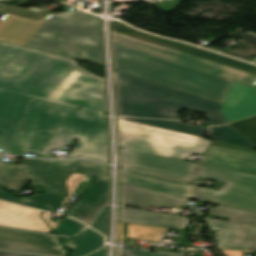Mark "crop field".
<instances>
[{"mask_svg": "<svg viewBox=\"0 0 256 256\" xmlns=\"http://www.w3.org/2000/svg\"><path fill=\"white\" fill-rule=\"evenodd\" d=\"M107 113L105 80L75 61L0 42V147L12 154L29 98Z\"/></svg>", "mask_w": 256, "mask_h": 256, "instance_id": "crop-field-1", "label": "crop field"}, {"mask_svg": "<svg viewBox=\"0 0 256 256\" xmlns=\"http://www.w3.org/2000/svg\"><path fill=\"white\" fill-rule=\"evenodd\" d=\"M115 70L224 103L232 79L251 83L256 66L112 22ZM256 87V82L252 85Z\"/></svg>", "mask_w": 256, "mask_h": 256, "instance_id": "crop-field-2", "label": "crop field"}, {"mask_svg": "<svg viewBox=\"0 0 256 256\" xmlns=\"http://www.w3.org/2000/svg\"><path fill=\"white\" fill-rule=\"evenodd\" d=\"M70 158L109 163L107 116L31 98L14 150L51 158V149L72 146Z\"/></svg>", "mask_w": 256, "mask_h": 256, "instance_id": "crop-field-3", "label": "crop field"}, {"mask_svg": "<svg viewBox=\"0 0 256 256\" xmlns=\"http://www.w3.org/2000/svg\"><path fill=\"white\" fill-rule=\"evenodd\" d=\"M0 41L104 67L100 20L79 10L48 13L38 22L0 11Z\"/></svg>", "mask_w": 256, "mask_h": 256, "instance_id": "crop-field-4", "label": "crop field"}, {"mask_svg": "<svg viewBox=\"0 0 256 256\" xmlns=\"http://www.w3.org/2000/svg\"><path fill=\"white\" fill-rule=\"evenodd\" d=\"M116 116L179 120L177 112L206 113L212 126L227 123L218 104L185 92L113 71Z\"/></svg>", "mask_w": 256, "mask_h": 256, "instance_id": "crop-field-5", "label": "crop field"}, {"mask_svg": "<svg viewBox=\"0 0 256 256\" xmlns=\"http://www.w3.org/2000/svg\"><path fill=\"white\" fill-rule=\"evenodd\" d=\"M119 147L186 160L203 154L211 141L117 118Z\"/></svg>", "mask_w": 256, "mask_h": 256, "instance_id": "crop-field-6", "label": "crop field"}, {"mask_svg": "<svg viewBox=\"0 0 256 256\" xmlns=\"http://www.w3.org/2000/svg\"><path fill=\"white\" fill-rule=\"evenodd\" d=\"M197 177L226 183L219 191L196 186L200 199L256 212V176L200 164Z\"/></svg>", "mask_w": 256, "mask_h": 256, "instance_id": "crop-field-7", "label": "crop field"}, {"mask_svg": "<svg viewBox=\"0 0 256 256\" xmlns=\"http://www.w3.org/2000/svg\"><path fill=\"white\" fill-rule=\"evenodd\" d=\"M109 166L84 159L71 161L31 159L28 174L39 184L57 194L68 196L65 180L72 172L109 181Z\"/></svg>", "mask_w": 256, "mask_h": 256, "instance_id": "crop-field-8", "label": "crop field"}, {"mask_svg": "<svg viewBox=\"0 0 256 256\" xmlns=\"http://www.w3.org/2000/svg\"><path fill=\"white\" fill-rule=\"evenodd\" d=\"M119 166L146 171L174 179L192 181L197 164L119 148Z\"/></svg>", "mask_w": 256, "mask_h": 256, "instance_id": "crop-field-9", "label": "crop field"}, {"mask_svg": "<svg viewBox=\"0 0 256 256\" xmlns=\"http://www.w3.org/2000/svg\"><path fill=\"white\" fill-rule=\"evenodd\" d=\"M0 249L66 255L57 236L0 227Z\"/></svg>", "mask_w": 256, "mask_h": 256, "instance_id": "crop-field-10", "label": "crop field"}, {"mask_svg": "<svg viewBox=\"0 0 256 256\" xmlns=\"http://www.w3.org/2000/svg\"><path fill=\"white\" fill-rule=\"evenodd\" d=\"M119 183L195 199L193 185L167 180L127 169H119Z\"/></svg>", "mask_w": 256, "mask_h": 256, "instance_id": "crop-field-11", "label": "crop field"}, {"mask_svg": "<svg viewBox=\"0 0 256 256\" xmlns=\"http://www.w3.org/2000/svg\"><path fill=\"white\" fill-rule=\"evenodd\" d=\"M221 112L228 122L256 115V88L233 81Z\"/></svg>", "mask_w": 256, "mask_h": 256, "instance_id": "crop-field-12", "label": "crop field"}, {"mask_svg": "<svg viewBox=\"0 0 256 256\" xmlns=\"http://www.w3.org/2000/svg\"><path fill=\"white\" fill-rule=\"evenodd\" d=\"M109 197V182L96 179L70 212L69 216L89 225L101 208L109 203Z\"/></svg>", "mask_w": 256, "mask_h": 256, "instance_id": "crop-field-13", "label": "crop field"}, {"mask_svg": "<svg viewBox=\"0 0 256 256\" xmlns=\"http://www.w3.org/2000/svg\"><path fill=\"white\" fill-rule=\"evenodd\" d=\"M256 175V155L210 146L200 162Z\"/></svg>", "mask_w": 256, "mask_h": 256, "instance_id": "crop-field-14", "label": "crop field"}, {"mask_svg": "<svg viewBox=\"0 0 256 256\" xmlns=\"http://www.w3.org/2000/svg\"><path fill=\"white\" fill-rule=\"evenodd\" d=\"M187 201L188 199L186 198L119 184V204L138 207H178Z\"/></svg>", "mask_w": 256, "mask_h": 256, "instance_id": "crop-field-15", "label": "crop field"}, {"mask_svg": "<svg viewBox=\"0 0 256 256\" xmlns=\"http://www.w3.org/2000/svg\"><path fill=\"white\" fill-rule=\"evenodd\" d=\"M36 211L0 202V225L50 233V229Z\"/></svg>", "mask_w": 256, "mask_h": 256, "instance_id": "crop-field-16", "label": "crop field"}, {"mask_svg": "<svg viewBox=\"0 0 256 256\" xmlns=\"http://www.w3.org/2000/svg\"><path fill=\"white\" fill-rule=\"evenodd\" d=\"M212 229L222 230L215 237L218 245L256 248V228L225 222L208 221Z\"/></svg>", "mask_w": 256, "mask_h": 256, "instance_id": "crop-field-17", "label": "crop field"}, {"mask_svg": "<svg viewBox=\"0 0 256 256\" xmlns=\"http://www.w3.org/2000/svg\"><path fill=\"white\" fill-rule=\"evenodd\" d=\"M188 221L189 219L176 216L119 208L118 222L184 229Z\"/></svg>", "mask_w": 256, "mask_h": 256, "instance_id": "crop-field-18", "label": "crop field"}, {"mask_svg": "<svg viewBox=\"0 0 256 256\" xmlns=\"http://www.w3.org/2000/svg\"><path fill=\"white\" fill-rule=\"evenodd\" d=\"M2 156L3 154H0V159ZM26 160L27 159L22 160L19 165L0 162V185L20 192L30 179L26 173L23 172Z\"/></svg>", "mask_w": 256, "mask_h": 256, "instance_id": "crop-field-19", "label": "crop field"}, {"mask_svg": "<svg viewBox=\"0 0 256 256\" xmlns=\"http://www.w3.org/2000/svg\"><path fill=\"white\" fill-rule=\"evenodd\" d=\"M124 119L137 121V122H141V123H145V124H149V125H153V126H158V127H162V128H167V129H171V130H175V131H180V132H184V133H189V134H193V135H197V136H200L204 132L208 131V128H206V127L201 128V127H196V126H190V125H186L185 123L179 122V121L158 120V119H141V118H124Z\"/></svg>", "mask_w": 256, "mask_h": 256, "instance_id": "crop-field-20", "label": "crop field"}, {"mask_svg": "<svg viewBox=\"0 0 256 256\" xmlns=\"http://www.w3.org/2000/svg\"><path fill=\"white\" fill-rule=\"evenodd\" d=\"M210 214L229 217V222L256 226V213L253 212L219 205L214 207Z\"/></svg>", "mask_w": 256, "mask_h": 256, "instance_id": "crop-field-21", "label": "crop field"}, {"mask_svg": "<svg viewBox=\"0 0 256 256\" xmlns=\"http://www.w3.org/2000/svg\"><path fill=\"white\" fill-rule=\"evenodd\" d=\"M210 134L218 135L221 137V142L256 148V146L250 140H248L230 124L222 127H210Z\"/></svg>", "mask_w": 256, "mask_h": 256, "instance_id": "crop-field-22", "label": "crop field"}, {"mask_svg": "<svg viewBox=\"0 0 256 256\" xmlns=\"http://www.w3.org/2000/svg\"><path fill=\"white\" fill-rule=\"evenodd\" d=\"M64 198L49 191L30 197H23L19 203L53 211Z\"/></svg>", "mask_w": 256, "mask_h": 256, "instance_id": "crop-field-23", "label": "crop field"}, {"mask_svg": "<svg viewBox=\"0 0 256 256\" xmlns=\"http://www.w3.org/2000/svg\"><path fill=\"white\" fill-rule=\"evenodd\" d=\"M229 35L243 41L249 49L248 52L238 56L237 58L246 60V59L256 55V35L251 34V33H245L240 29L234 31L233 33H231Z\"/></svg>", "mask_w": 256, "mask_h": 256, "instance_id": "crop-field-24", "label": "crop field"}, {"mask_svg": "<svg viewBox=\"0 0 256 256\" xmlns=\"http://www.w3.org/2000/svg\"><path fill=\"white\" fill-rule=\"evenodd\" d=\"M231 125L256 145V116L231 123Z\"/></svg>", "mask_w": 256, "mask_h": 256, "instance_id": "crop-field-25", "label": "crop field"}, {"mask_svg": "<svg viewBox=\"0 0 256 256\" xmlns=\"http://www.w3.org/2000/svg\"><path fill=\"white\" fill-rule=\"evenodd\" d=\"M103 242H104V238L99 233H97L91 241L82 240L81 243L74 250L72 255L74 256L86 255L102 247Z\"/></svg>", "mask_w": 256, "mask_h": 256, "instance_id": "crop-field-26", "label": "crop field"}, {"mask_svg": "<svg viewBox=\"0 0 256 256\" xmlns=\"http://www.w3.org/2000/svg\"><path fill=\"white\" fill-rule=\"evenodd\" d=\"M85 227V225L66 217L55 231L63 236H71L78 233Z\"/></svg>", "mask_w": 256, "mask_h": 256, "instance_id": "crop-field-27", "label": "crop field"}, {"mask_svg": "<svg viewBox=\"0 0 256 256\" xmlns=\"http://www.w3.org/2000/svg\"><path fill=\"white\" fill-rule=\"evenodd\" d=\"M3 10L18 14L21 16H25V17H28L31 19H35V20L41 18L43 15H45L47 13L45 11L35 9V8L24 9V8H17V7H13V6H8V7L4 8Z\"/></svg>", "mask_w": 256, "mask_h": 256, "instance_id": "crop-field-28", "label": "crop field"}, {"mask_svg": "<svg viewBox=\"0 0 256 256\" xmlns=\"http://www.w3.org/2000/svg\"><path fill=\"white\" fill-rule=\"evenodd\" d=\"M83 176L82 175H78V174H72L67 180V187H68V191H69V196L67 197V199L65 200V202H67V200L69 199V197L71 196V194L73 193V191L76 189V187L78 186V184L80 183V181L82 180Z\"/></svg>", "mask_w": 256, "mask_h": 256, "instance_id": "crop-field-29", "label": "crop field"}, {"mask_svg": "<svg viewBox=\"0 0 256 256\" xmlns=\"http://www.w3.org/2000/svg\"><path fill=\"white\" fill-rule=\"evenodd\" d=\"M211 145L256 154V151H254V150H252V149H250V148L235 146V145L226 144V143H221V142H217V141L212 142Z\"/></svg>", "mask_w": 256, "mask_h": 256, "instance_id": "crop-field-30", "label": "crop field"}, {"mask_svg": "<svg viewBox=\"0 0 256 256\" xmlns=\"http://www.w3.org/2000/svg\"><path fill=\"white\" fill-rule=\"evenodd\" d=\"M88 229H89V228H88ZM88 229H87L86 231L84 230L85 232H83V233L77 235L76 237H74V238H72V239H70V240L64 242L65 245L68 246L70 249H75L76 246L80 243V241H81V240L83 239V237L85 236V234H86V232L88 231Z\"/></svg>", "mask_w": 256, "mask_h": 256, "instance_id": "crop-field-31", "label": "crop field"}, {"mask_svg": "<svg viewBox=\"0 0 256 256\" xmlns=\"http://www.w3.org/2000/svg\"><path fill=\"white\" fill-rule=\"evenodd\" d=\"M126 249H128L130 252H132L136 256H176V255L154 253V252H148V251H142V250H136V249H130V248H126Z\"/></svg>", "mask_w": 256, "mask_h": 256, "instance_id": "crop-field-32", "label": "crop field"}, {"mask_svg": "<svg viewBox=\"0 0 256 256\" xmlns=\"http://www.w3.org/2000/svg\"><path fill=\"white\" fill-rule=\"evenodd\" d=\"M92 228L103 233L105 236H108V222L97 220Z\"/></svg>", "mask_w": 256, "mask_h": 256, "instance_id": "crop-field-33", "label": "crop field"}, {"mask_svg": "<svg viewBox=\"0 0 256 256\" xmlns=\"http://www.w3.org/2000/svg\"><path fill=\"white\" fill-rule=\"evenodd\" d=\"M248 51L247 47L243 44L239 45L237 48L233 49L231 52L229 51H226V52H221V53H225V54H228V55H231V56H238L244 52Z\"/></svg>", "mask_w": 256, "mask_h": 256, "instance_id": "crop-field-34", "label": "crop field"}, {"mask_svg": "<svg viewBox=\"0 0 256 256\" xmlns=\"http://www.w3.org/2000/svg\"><path fill=\"white\" fill-rule=\"evenodd\" d=\"M0 199L6 200V201H11V202L18 200L17 198L9 196L6 193H4L1 187H0Z\"/></svg>", "mask_w": 256, "mask_h": 256, "instance_id": "crop-field-35", "label": "crop field"}, {"mask_svg": "<svg viewBox=\"0 0 256 256\" xmlns=\"http://www.w3.org/2000/svg\"><path fill=\"white\" fill-rule=\"evenodd\" d=\"M51 216V213H47L45 212L43 214V218L50 224V226L52 227L53 231L56 229V227L58 226V224L54 223L53 221H51L49 218Z\"/></svg>", "mask_w": 256, "mask_h": 256, "instance_id": "crop-field-36", "label": "crop field"}, {"mask_svg": "<svg viewBox=\"0 0 256 256\" xmlns=\"http://www.w3.org/2000/svg\"><path fill=\"white\" fill-rule=\"evenodd\" d=\"M0 256H39V255H30V254H21V253L0 251Z\"/></svg>", "mask_w": 256, "mask_h": 256, "instance_id": "crop-field-37", "label": "crop field"}, {"mask_svg": "<svg viewBox=\"0 0 256 256\" xmlns=\"http://www.w3.org/2000/svg\"><path fill=\"white\" fill-rule=\"evenodd\" d=\"M117 256H131V255L126 251H124L123 249L117 247Z\"/></svg>", "mask_w": 256, "mask_h": 256, "instance_id": "crop-field-38", "label": "crop field"}, {"mask_svg": "<svg viewBox=\"0 0 256 256\" xmlns=\"http://www.w3.org/2000/svg\"><path fill=\"white\" fill-rule=\"evenodd\" d=\"M97 232L89 229V231L87 232L86 236L84 237V239H87V240H91L92 237L96 234Z\"/></svg>", "mask_w": 256, "mask_h": 256, "instance_id": "crop-field-39", "label": "crop field"}, {"mask_svg": "<svg viewBox=\"0 0 256 256\" xmlns=\"http://www.w3.org/2000/svg\"><path fill=\"white\" fill-rule=\"evenodd\" d=\"M99 219H100V220H106V221H108V219H109L108 209H105V211L103 212V214L100 216Z\"/></svg>", "mask_w": 256, "mask_h": 256, "instance_id": "crop-field-40", "label": "crop field"}, {"mask_svg": "<svg viewBox=\"0 0 256 256\" xmlns=\"http://www.w3.org/2000/svg\"><path fill=\"white\" fill-rule=\"evenodd\" d=\"M105 251H106V248H103V249H101V250H99V251H97V252H95V253H93L89 256H102Z\"/></svg>", "mask_w": 256, "mask_h": 256, "instance_id": "crop-field-41", "label": "crop field"}, {"mask_svg": "<svg viewBox=\"0 0 256 256\" xmlns=\"http://www.w3.org/2000/svg\"><path fill=\"white\" fill-rule=\"evenodd\" d=\"M221 249H236V250H245V248H239V247H226V246H219Z\"/></svg>", "mask_w": 256, "mask_h": 256, "instance_id": "crop-field-42", "label": "crop field"}, {"mask_svg": "<svg viewBox=\"0 0 256 256\" xmlns=\"http://www.w3.org/2000/svg\"><path fill=\"white\" fill-rule=\"evenodd\" d=\"M247 249H252V248H246V250H247Z\"/></svg>", "mask_w": 256, "mask_h": 256, "instance_id": "crop-field-43", "label": "crop field"}, {"mask_svg": "<svg viewBox=\"0 0 256 256\" xmlns=\"http://www.w3.org/2000/svg\"><path fill=\"white\" fill-rule=\"evenodd\" d=\"M103 256H106L105 254Z\"/></svg>", "mask_w": 256, "mask_h": 256, "instance_id": "crop-field-44", "label": "crop field"}]
</instances>
